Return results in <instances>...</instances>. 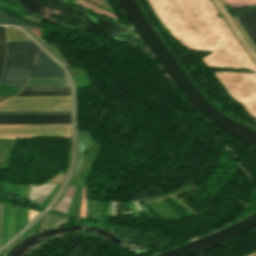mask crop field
<instances>
[{
  "instance_id": "obj_1",
  "label": "crop field",
  "mask_w": 256,
  "mask_h": 256,
  "mask_svg": "<svg viewBox=\"0 0 256 256\" xmlns=\"http://www.w3.org/2000/svg\"><path fill=\"white\" fill-rule=\"evenodd\" d=\"M70 109V96H16L0 102V110Z\"/></svg>"
},
{
  "instance_id": "obj_2",
  "label": "crop field",
  "mask_w": 256,
  "mask_h": 256,
  "mask_svg": "<svg viewBox=\"0 0 256 256\" xmlns=\"http://www.w3.org/2000/svg\"><path fill=\"white\" fill-rule=\"evenodd\" d=\"M7 54L5 66L34 70L39 48L31 41L6 43Z\"/></svg>"
},
{
  "instance_id": "obj_3",
  "label": "crop field",
  "mask_w": 256,
  "mask_h": 256,
  "mask_svg": "<svg viewBox=\"0 0 256 256\" xmlns=\"http://www.w3.org/2000/svg\"><path fill=\"white\" fill-rule=\"evenodd\" d=\"M71 124L0 125V136L70 135Z\"/></svg>"
},
{
  "instance_id": "obj_4",
  "label": "crop field",
  "mask_w": 256,
  "mask_h": 256,
  "mask_svg": "<svg viewBox=\"0 0 256 256\" xmlns=\"http://www.w3.org/2000/svg\"><path fill=\"white\" fill-rule=\"evenodd\" d=\"M70 123V114L0 115V124Z\"/></svg>"
},
{
  "instance_id": "obj_5",
  "label": "crop field",
  "mask_w": 256,
  "mask_h": 256,
  "mask_svg": "<svg viewBox=\"0 0 256 256\" xmlns=\"http://www.w3.org/2000/svg\"><path fill=\"white\" fill-rule=\"evenodd\" d=\"M30 75L65 76L59 66L41 50L39 51L35 71H31Z\"/></svg>"
},
{
  "instance_id": "obj_6",
  "label": "crop field",
  "mask_w": 256,
  "mask_h": 256,
  "mask_svg": "<svg viewBox=\"0 0 256 256\" xmlns=\"http://www.w3.org/2000/svg\"><path fill=\"white\" fill-rule=\"evenodd\" d=\"M29 71L3 68L0 82L23 86Z\"/></svg>"
},
{
  "instance_id": "obj_7",
  "label": "crop field",
  "mask_w": 256,
  "mask_h": 256,
  "mask_svg": "<svg viewBox=\"0 0 256 256\" xmlns=\"http://www.w3.org/2000/svg\"><path fill=\"white\" fill-rule=\"evenodd\" d=\"M27 84L68 85L65 77L30 76Z\"/></svg>"
},
{
  "instance_id": "obj_8",
  "label": "crop field",
  "mask_w": 256,
  "mask_h": 256,
  "mask_svg": "<svg viewBox=\"0 0 256 256\" xmlns=\"http://www.w3.org/2000/svg\"><path fill=\"white\" fill-rule=\"evenodd\" d=\"M68 219L69 218H67V217L48 214L45 217L40 230L45 229V228H49V227H53V226L64 225V224L67 223Z\"/></svg>"
},
{
  "instance_id": "obj_9",
  "label": "crop field",
  "mask_w": 256,
  "mask_h": 256,
  "mask_svg": "<svg viewBox=\"0 0 256 256\" xmlns=\"http://www.w3.org/2000/svg\"><path fill=\"white\" fill-rule=\"evenodd\" d=\"M23 90L70 91L69 86L25 85Z\"/></svg>"
},
{
  "instance_id": "obj_10",
  "label": "crop field",
  "mask_w": 256,
  "mask_h": 256,
  "mask_svg": "<svg viewBox=\"0 0 256 256\" xmlns=\"http://www.w3.org/2000/svg\"><path fill=\"white\" fill-rule=\"evenodd\" d=\"M29 39L25 34L21 31L13 28H7L6 30V42L10 41H18V40H26Z\"/></svg>"
},
{
  "instance_id": "obj_11",
  "label": "crop field",
  "mask_w": 256,
  "mask_h": 256,
  "mask_svg": "<svg viewBox=\"0 0 256 256\" xmlns=\"http://www.w3.org/2000/svg\"><path fill=\"white\" fill-rule=\"evenodd\" d=\"M73 188L74 187L68 188L66 193L63 195V197L60 199V201L54 207L55 209L66 212L69 201H70V198H71V195H72Z\"/></svg>"
},
{
  "instance_id": "obj_12",
  "label": "crop field",
  "mask_w": 256,
  "mask_h": 256,
  "mask_svg": "<svg viewBox=\"0 0 256 256\" xmlns=\"http://www.w3.org/2000/svg\"><path fill=\"white\" fill-rule=\"evenodd\" d=\"M27 113H70V110L0 111V114H27Z\"/></svg>"
},
{
  "instance_id": "obj_13",
  "label": "crop field",
  "mask_w": 256,
  "mask_h": 256,
  "mask_svg": "<svg viewBox=\"0 0 256 256\" xmlns=\"http://www.w3.org/2000/svg\"><path fill=\"white\" fill-rule=\"evenodd\" d=\"M8 23H14V24H19L27 27H36L34 25L28 24L26 22L20 21L18 19H15L13 17H10L5 14V12L0 11V24H8ZM39 28V27H37Z\"/></svg>"
},
{
  "instance_id": "obj_14",
  "label": "crop field",
  "mask_w": 256,
  "mask_h": 256,
  "mask_svg": "<svg viewBox=\"0 0 256 256\" xmlns=\"http://www.w3.org/2000/svg\"><path fill=\"white\" fill-rule=\"evenodd\" d=\"M4 30H5V27L0 26V73L4 64V52H5Z\"/></svg>"
},
{
  "instance_id": "obj_15",
  "label": "crop field",
  "mask_w": 256,
  "mask_h": 256,
  "mask_svg": "<svg viewBox=\"0 0 256 256\" xmlns=\"http://www.w3.org/2000/svg\"><path fill=\"white\" fill-rule=\"evenodd\" d=\"M19 95H70V92L21 91Z\"/></svg>"
},
{
  "instance_id": "obj_16",
  "label": "crop field",
  "mask_w": 256,
  "mask_h": 256,
  "mask_svg": "<svg viewBox=\"0 0 256 256\" xmlns=\"http://www.w3.org/2000/svg\"><path fill=\"white\" fill-rule=\"evenodd\" d=\"M39 41L45 44L55 55H57L65 64H68L48 43H46L42 38H40L36 33L27 28Z\"/></svg>"
},
{
  "instance_id": "obj_17",
  "label": "crop field",
  "mask_w": 256,
  "mask_h": 256,
  "mask_svg": "<svg viewBox=\"0 0 256 256\" xmlns=\"http://www.w3.org/2000/svg\"><path fill=\"white\" fill-rule=\"evenodd\" d=\"M2 215H3V205L0 204V247H1V236H2Z\"/></svg>"
},
{
  "instance_id": "obj_18",
  "label": "crop field",
  "mask_w": 256,
  "mask_h": 256,
  "mask_svg": "<svg viewBox=\"0 0 256 256\" xmlns=\"http://www.w3.org/2000/svg\"><path fill=\"white\" fill-rule=\"evenodd\" d=\"M136 200H137L138 204L140 205L141 209H145L144 205L141 203V201L139 200V198L136 199Z\"/></svg>"
}]
</instances>
